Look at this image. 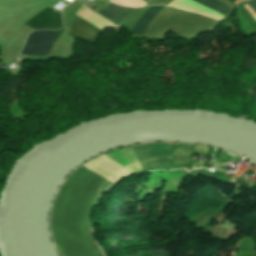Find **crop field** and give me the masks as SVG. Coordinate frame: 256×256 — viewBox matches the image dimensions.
I'll return each mask as SVG.
<instances>
[{
    "instance_id": "5a996713",
    "label": "crop field",
    "mask_w": 256,
    "mask_h": 256,
    "mask_svg": "<svg viewBox=\"0 0 256 256\" xmlns=\"http://www.w3.org/2000/svg\"><path fill=\"white\" fill-rule=\"evenodd\" d=\"M252 11L256 14V0H251L248 4H247Z\"/></svg>"
},
{
    "instance_id": "ac0d7876",
    "label": "crop field",
    "mask_w": 256,
    "mask_h": 256,
    "mask_svg": "<svg viewBox=\"0 0 256 256\" xmlns=\"http://www.w3.org/2000/svg\"><path fill=\"white\" fill-rule=\"evenodd\" d=\"M105 156L134 173L143 171L131 147L110 152L105 154ZM105 156L101 155L82 166L94 171L110 182L113 179L130 172Z\"/></svg>"
},
{
    "instance_id": "412701ff",
    "label": "crop field",
    "mask_w": 256,
    "mask_h": 256,
    "mask_svg": "<svg viewBox=\"0 0 256 256\" xmlns=\"http://www.w3.org/2000/svg\"><path fill=\"white\" fill-rule=\"evenodd\" d=\"M161 7L162 6H151L148 11L146 10L147 12L129 32L130 35L144 34L148 23ZM131 10L132 8L110 3L99 15L112 21L115 25H118Z\"/></svg>"
},
{
    "instance_id": "8a807250",
    "label": "crop field",
    "mask_w": 256,
    "mask_h": 256,
    "mask_svg": "<svg viewBox=\"0 0 256 256\" xmlns=\"http://www.w3.org/2000/svg\"><path fill=\"white\" fill-rule=\"evenodd\" d=\"M111 184L81 166L61 187L50 222L55 245L62 256L100 253L91 234L89 215L95 201Z\"/></svg>"
},
{
    "instance_id": "f4fd0767",
    "label": "crop field",
    "mask_w": 256,
    "mask_h": 256,
    "mask_svg": "<svg viewBox=\"0 0 256 256\" xmlns=\"http://www.w3.org/2000/svg\"><path fill=\"white\" fill-rule=\"evenodd\" d=\"M57 36V33L49 31H34L30 34L22 53L27 55L45 56L48 54Z\"/></svg>"
},
{
    "instance_id": "34b2d1b8",
    "label": "crop field",
    "mask_w": 256,
    "mask_h": 256,
    "mask_svg": "<svg viewBox=\"0 0 256 256\" xmlns=\"http://www.w3.org/2000/svg\"><path fill=\"white\" fill-rule=\"evenodd\" d=\"M144 170L172 167V143L132 146Z\"/></svg>"
},
{
    "instance_id": "3316defc",
    "label": "crop field",
    "mask_w": 256,
    "mask_h": 256,
    "mask_svg": "<svg viewBox=\"0 0 256 256\" xmlns=\"http://www.w3.org/2000/svg\"><path fill=\"white\" fill-rule=\"evenodd\" d=\"M96 256H100V255L98 254V255H96Z\"/></svg>"
},
{
    "instance_id": "d8731c3e",
    "label": "crop field",
    "mask_w": 256,
    "mask_h": 256,
    "mask_svg": "<svg viewBox=\"0 0 256 256\" xmlns=\"http://www.w3.org/2000/svg\"><path fill=\"white\" fill-rule=\"evenodd\" d=\"M203 6H206L222 15H225L229 10L230 8L214 1V0H193Z\"/></svg>"
},
{
    "instance_id": "dd49c442",
    "label": "crop field",
    "mask_w": 256,
    "mask_h": 256,
    "mask_svg": "<svg viewBox=\"0 0 256 256\" xmlns=\"http://www.w3.org/2000/svg\"><path fill=\"white\" fill-rule=\"evenodd\" d=\"M24 24L34 29H57L62 27L60 14L48 7Z\"/></svg>"
},
{
    "instance_id": "e52e79f7",
    "label": "crop field",
    "mask_w": 256,
    "mask_h": 256,
    "mask_svg": "<svg viewBox=\"0 0 256 256\" xmlns=\"http://www.w3.org/2000/svg\"><path fill=\"white\" fill-rule=\"evenodd\" d=\"M100 33L101 32L91 27L77 16H74V20L69 33L70 36L95 44Z\"/></svg>"
}]
</instances>
